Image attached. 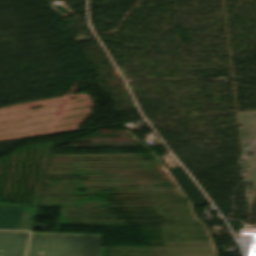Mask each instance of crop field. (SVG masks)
Listing matches in <instances>:
<instances>
[{
    "instance_id": "1",
    "label": "crop field",
    "mask_w": 256,
    "mask_h": 256,
    "mask_svg": "<svg viewBox=\"0 0 256 256\" xmlns=\"http://www.w3.org/2000/svg\"><path fill=\"white\" fill-rule=\"evenodd\" d=\"M102 235L32 233L27 256H99Z\"/></svg>"
},
{
    "instance_id": "2",
    "label": "crop field",
    "mask_w": 256,
    "mask_h": 256,
    "mask_svg": "<svg viewBox=\"0 0 256 256\" xmlns=\"http://www.w3.org/2000/svg\"><path fill=\"white\" fill-rule=\"evenodd\" d=\"M33 214L24 207L0 206V229L29 230Z\"/></svg>"
},
{
    "instance_id": "3",
    "label": "crop field",
    "mask_w": 256,
    "mask_h": 256,
    "mask_svg": "<svg viewBox=\"0 0 256 256\" xmlns=\"http://www.w3.org/2000/svg\"><path fill=\"white\" fill-rule=\"evenodd\" d=\"M29 232L0 231V256H24Z\"/></svg>"
}]
</instances>
